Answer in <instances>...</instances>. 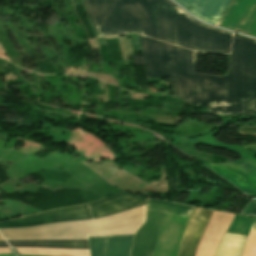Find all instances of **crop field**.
Instances as JSON below:
<instances>
[{"label":"crop field","mask_w":256,"mask_h":256,"mask_svg":"<svg viewBox=\"0 0 256 256\" xmlns=\"http://www.w3.org/2000/svg\"><path fill=\"white\" fill-rule=\"evenodd\" d=\"M19 256H27V255H19Z\"/></svg>","instance_id":"d9b57169"},{"label":"crop field","mask_w":256,"mask_h":256,"mask_svg":"<svg viewBox=\"0 0 256 256\" xmlns=\"http://www.w3.org/2000/svg\"><path fill=\"white\" fill-rule=\"evenodd\" d=\"M253 220L254 219L235 216L227 232L248 236ZM229 233H226L224 236L215 256L241 255L248 237Z\"/></svg>","instance_id":"412701ff"},{"label":"crop field","mask_w":256,"mask_h":256,"mask_svg":"<svg viewBox=\"0 0 256 256\" xmlns=\"http://www.w3.org/2000/svg\"><path fill=\"white\" fill-rule=\"evenodd\" d=\"M201 211H202V209L193 208L190 218H189V221L187 223L186 229L184 231L181 247H180V250H179L177 256H185L190 238H191L194 228L197 224L198 217H199Z\"/></svg>","instance_id":"3316defc"},{"label":"crop field","mask_w":256,"mask_h":256,"mask_svg":"<svg viewBox=\"0 0 256 256\" xmlns=\"http://www.w3.org/2000/svg\"><path fill=\"white\" fill-rule=\"evenodd\" d=\"M256 222V220H254ZM253 223L249 239L242 256H256V223Z\"/></svg>","instance_id":"28ad6ade"},{"label":"crop field","mask_w":256,"mask_h":256,"mask_svg":"<svg viewBox=\"0 0 256 256\" xmlns=\"http://www.w3.org/2000/svg\"><path fill=\"white\" fill-rule=\"evenodd\" d=\"M17 254L50 256H90L89 250H67L47 248H13Z\"/></svg>","instance_id":"d8731c3e"},{"label":"crop field","mask_w":256,"mask_h":256,"mask_svg":"<svg viewBox=\"0 0 256 256\" xmlns=\"http://www.w3.org/2000/svg\"><path fill=\"white\" fill-rule=\"evenodd\" d=\"M0 240H3V238L0 236Z\"/></svg>","instance_id":"5142ce71"},{"label":"crop field","mask_w":256,"mask_h":256,"mask_svg":"<svg viewBox=\"0 0 256 256\" xmlns=\"http://www.w3.org/2000/svg\"><path fill=\"white\" fill-rule=\"evenodd\" d=\"M0 247H8L5 241H0Z\"/></svg>","instance_id":"22f410ed"},{"label":"crop field","mask_w":256,"mask_h":256,"mask_svg":"<svg viewBox=\"0 0 256 256\" xmlns=\"http://www.w3.org/2000/svg\"><path fill=\"white\" fill-rule=\"evenodd\" d=\"M0 256H15V255H0Z\"/></svg>","instance_id":"cbeb9de0"},{"label":"crop field","mask_w":256,"mask_h":256,"mask_svg":"<svg viewBox=\"0 0 256 256\" xmlns=\"http://www.w3.org/2000/svg\"><path fill=\"white\" fill-rule=\"evenodd\" d=\"M93 219L87 204L49 211L0 223V229L32 227L44 224Z\"/></svg>","instance_id":"34b2d1b8"},{"label":"crop field","mask_w":256,"mask_h":256,"mask_svg":"<svg viewBox=\"0 0 256 256\" xmlns=\"http://www.w3.org/2000/svg\"><path fill=\"white\" fill-rule=\"evenodd\" d=\"M146 204V199L137 198L128 193H120L104 200L89 203L93 218L104 217L133 209Z\"/></svg>","instance_id":"f4fd0767"},{"label":"crop field","mask_w":256,"mask_h":256,"mask_svg":"<svg viewBox=\"0 0 256 256\" xmlns=\"http://www.w3.org/2000/svg\"><path fill=\"white\" fill-rule=\"evenodd\" d=\"M145 206L113 216L32 228L0 230L6 240L88 239L94 236L134 234L144 223Z\"/></svg>","instance_id":"8a807250"},{"label":"crop field","mask_w":256,"mask_h":256,"mask_svg":"<svg viewBox=\"0 0 256 256\" xmlns=\"http://www.w3.org/2000/svg\"><path fill=\"white\" fill-rule=\"evenodd\" d=\"M133 236L89 238L91 256H129Z\"/></svg>","instance_id":"dd49c442"},{"label":"crop field","mask_w":256,"mask_h":256,"mask_svg":"<svg viewBox=\"0 0 256 256\" xmlns=\"http://www.w3.org/2000/svg\"><path fill=\"white\" fill-rule=\"evenodd\" d=\"M212 212L213 211H211V210L203 209V211H202V213L199 217V221H198V224L196 226V229H195V231L193 233V236L191 238L186 256H194L199 238H200V236H201V234H202V232H203V230H204Z\"/></svg>","instance_id":"5a996713"},{"label":"crop field","mask_w":256,"mask_h":256,"mask_svg":"<svg viewBox=\"0 0 256 256\" xmlns=\"http://www.w3.org/2000/svg\"><path fill=\"white\" fill-rule=\"evenodd\" d=\"M8 242L11 247L89 249L88 240H22Z\"/></svg>","instance_id":"e52e79f7"},{"label":"crop field","mask_w":256,"mask_h":256,"mask_svg":"<svg viewBox=\"0 0 256 256\" xmlns=\"http://www.w3.org/2000/svg\"><path fill=\"white\" fill-rule=\"evenodd\" d=\"M192 207L149 200L146 221L137 231L131 256H153L164 212L188 217ZM165 213L157 250L154 256H176L188 218Z\"/></svg>","instance_id":"ac0d7876"},{"label":"crop field","mask_w":256,"mask_h":256,"mask_svg":"<svg viewBox=\"0 0 256 256\" xmlns=\"http://www.w3.org/2000/svg\"><path fill=\"white\" fill-rule=\"evenodd\" d=\"M0 253L13 254L10 248H0Z\"/></svg>","instance_id":"d1516ede"}]
</instances>
